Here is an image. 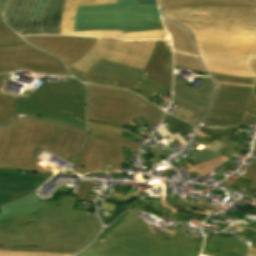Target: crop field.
Here are the masks:
<instances>
[{
    "instance_id": "733c2abd",
    "label": "crop field",
    "mask_w": 256,
    "mask_h": 256,
    "mask_svg": "<svg viewBox=\"0 0 256 256\" xmlns=\"http://www.w3.org/2000/svg\"><path fill=\"white\" fill-rule=\"evenodd\" d=\"M163 23L173 42L174 65L205 72L198 62L189 32L170 22L163 20Z\"/></svg>"
},
{
    "instance_id": "c21b1889",
    "label": "crop field",
    "mask_w": 256,
    "mask_h": 256,
    "mask_svg": "<svg viewBox=\"0 0 256 256\" xmlns=\"http://www.w3.org/2000/svg\"><path fill=\"white\" fill-rule=\"evenodd\" d=\"M48 0H39L31 18L39 19Z\"/></svg>"
},
{
    "instance_id": "22f410ed",
    "label": "crop field",
    "mask_w": 256,
    "mask_h": 256,
    "mask_svg": "<svg viewBox=\"0 0 256 256\" xmlns=\"http://www.w3.org/2000/svg\"><path fill=\"white\" fill-rule=\"evenodd\" d=\"M67 68L75 77L84 82L86 81L88 72H91L140 83L135 92L149 100L162 91L171 95L170 88L155 81L144 78L145 75L143 72H141L142 69L122 65L119 63L101 59L87 72L76 70L71 65Z\"/></svg>"
},
{
    "instance_id": "c035e120",
    "label": "crop field",
    "mask_w": 256,
    "mask_h": 256,
    "mask_svg": "<svg viewBox=\"0 0 256 256\" xmlns=\"http://www.w3.org/2000/svg\"><path fill=\"white\" fill-rule=\"evenodd\" d=\"M172 115L187 121L193 115V113L179 107Z\"/></svg>"
},
{
    "instance_id": "d3111659",
    "label": "crop field",
    "mask_w": 256,
    "mask_h": 256,
    "mask_svg": "<svg viewBox=\"0 0 256 256\" xmlns=\"http://www.w3.org/2000/svg\"><path fill=\"white\" fill-rule=\"evenodd\" d=\"M12 127L13 123L10 125L0 126V163L10 141Z\"/></svg>"
},
{
    "instance_id": "5d738f31",
    "label": "crop field",
    "mask_w": 256,
    "mask_h": 256,
    "mask_svg": "<svg viewBox=\"0 0 256 256\" xmlns=\"http://www.w3.org/2000/svg\"><path fill=\"white\" fill-rule=\"evenodd\" d=\"M127 213H128V212L122 214V215L120 216V218H119L117 221H115L113 224H111L110 227L107 228V229L98 237V239H101V238H102L103 236H105L111 229H113L116 225H118V223L121 222V219H123L124 216H125Z\"/></svg>"
},
{
    "instance_id": "ac0d7876",
    "label": "crop field",
    "mask_w": 256,
    "mask_h": 256,
    "mask_svg": "<svg viewBox=\"0 0 256 256\" xmlns=\"http://www.w3.org/2000/svg\"><path fill=\"white\" fill-rule=\"evenodd\" d=\"M76 196L60 195L37 213L0 224V245L83 248L99 231L96 217L74 209ZM47 235V237H45Z\"/></svg>"
},
{
    "instance_id": "d1516ede",
    "label": "crop field",
    "mask_w": 256,
    "mask_h": 256,
    "mask_svg": "<svg viewBox=\"0 0 256 256\" xmlns=\"http://www.w3.org/2000/svg\"><path fill=\"white\" fill-rule=\"evenodd\" d=\"M155 42H123L120 39L97 38L93 47L71 65L76 69L87 71L103 58L143 69Z\"/></svg>"
},
{
    "instance_id": "1d83c4d3",
    "label": "crop field",
    "mask_w": 256,
    "mask_h": 256,
    "mask_svg": "<svg viewBox=\"0 0 256 256\" xmlns=\"http://www.w3.org/2000/svg\"><path fill=\"white\" fill-rule=\"evenodd\" d=\"M0 249H16V250H39V251H67V252H77L80 249L73 248H54V247H3Z\"/></svg>"
},
{
    "instance_id": "bc2a9ffb",
    "label": "crop field",
    "mask_w": 256,
    "mask_h": 256,
    "mask_svg": "<svg viewBox=\"0 0 256 256\" xmlns=\"http://www.w3.org/2000/svg\"><path fill=\"white\" fill-rule=\"evenodd\" d=\"M196 79L201 80L197 88L186 87L190 84L186 81L175 79L174 91L207 108L213 88L212 81L207 77H198Z\"/></svg>"
},
{
    "instance_id": "0765c3eb",
    "label": "crop field",
    "mask_w": 256,
    "mask_h": 256,
    "mask_svg": "<svg viewBox=\"0 0 256 256\" xmlns=\"http://www.w3.org/2000/svg\"><path fill=\"white\" fill-rule=\"evenodd\" d=\"M254 94L256 96V81H255V86H254Z\"/></svg>"
},
{
    "instance_id": "9d1cf04e",
    "label": "crop field",
    "mask_w": 256,
    "mask_h": 256,
    "mask_svg": "<svg viewBox=\"0 0 256 256\" xmlns=\"http://www.w3.org/2000/svg\"><path fill=\"white\" fill-rule=\"evenodd\" d=\"M113 196H116V197L122 198V199L124 198V195H121V194H118V193H114Z\"/></svg>"
},
{
    "instance_id": "e52e79f7",
    "label": "crop field",
    "mask_w": 256,
    "mask_h": 256,
    "mask_svg": "<svg viewBox=\"0 0 256 256\" xmlns=\"http://www.w3.org/2000/svg\"><path fill=\"white\" fill-rule=\"evenodd\" d=\"M88 88V120L124 126L140 115L158 125L160 109L127 90L86 84Z\"/></svg>"
},
{
    "instance_id": "0fb4a251",
    "label": "crop field",
    "mask_w": 256,
    "mask_h": 256,
    "mask_svg": "<svg viewBox=\"0 0 256 256\" xmlns=\"http://www.w3.org/2000/svg\"><path fill=\"white\" fill-rule=\"evenodd\" d=\"M117 187H118V188H121L120 190L117 191L118 193H121V194H124V195L127 194V190H126L127 187H125V186H119V185H117Z\"/></svg>"
},
{
    "instance_id": "dbb93151",
    "label": "crop field",
    "mask_w": 256,
    "mask_h": 256,
    "mask_svg": "<svg viewBox=\"0 0 256 256\" xmlns=\"http://www.w3.org/2000/svg\"><path fill=\"white\" fill-rule=\"evenodd\" d=\"M139 4H156L155 0H139Z\"/></svg>"
},
{
    "instance_id": "8a807250",
    "label": "crop field",
    "mask_w": 256,
    "mask_h": 256,
    "mask_svg": "<svg viewBox=\"0 0 256 256\" xmlns=\"http://www.w3.org/2000/svg\"><path fill=\"white\" fill-rule=\"evenodd\" d=\"M163 16L189 28L208 72L256 77V8L163 9Z\"/></svg>"
},
{
    "instance_id": "028f5c9d",
    "label": "crop field",
    "mask_w": 256,
    "mask_h": 256,
    "mask_svg": "<svg viewBox=\"0 0 256 256\" xmlns=\"http://www.w3.org/2000/svg\"><path fill=\"white\" fill-rule=\"evenodd\" d=\"M231 137H232V136L223 135V136L219 139V141H221V142H223V143H225V144L231 146L232 148H234V149H236V150L249 153V147H250L249 145H245V144H241V143H237V142H232V141H230ZM219 141H218V142H219ZM221 142H220V143H221ZM223 143H222V144H223ZM225 144H224V145H225ZM227 145H226V146H227ZM229 146H228V147H229Z\"/></svg>"
},
{
    "instance_id": "0bd39190",
    "label": "crop field",
    "mask_w": 256,
    "mask_h": 256,
    "mask_svg": "<svg viewBox=\"0 0 256 256\" xmlns=\"http://www.w3.org/2000/svg\"><path fill=\"white\" fill-rule=\"evenodd\" d=\"M241 177L250 179L252 180L251 183L256 184V159H254L252 165L246 170V172Z\"/></svg>"
},
{
    "instance_id": "d9b57169",
    "label": "crop field",
    "mask_w": 256,
    "mask_h": 256,
    "mask_svg": "<svg viewBox=\"0 0 256 256\" xmlns=\"http://www.w3.org/2000/svg\"><path fill=\"white\" fill-rule=\"evenodd\" d=\"M0 169V206L33 193L50 176Z\"/></svg>"
},
{
    "instance_id": "120bbe31",
    "label": "crop field",
    "mask_w": 256,
    "mask_h": 256,
    "mask_svg": "<svg viewBox=\"0 0 256 256\" xmlns=\"http://www.w3.org/2000/svg\"><path fill=\"white\" fill-rule=\"evenodd\" d=\"M183 152L193 156L194 158L200 160V161H205V160H208V159H212V158H216V157H219L220 155L204 148L202 150H200L199 152H197L196 154L191 152L190 150L188 149H185Z\"/></svg>"
},
{
    "instance_id": "5866460e",
    "label": "crop field",
    "mask_w": 256,
    "mask_h": 256,
    "mask_svg": "<svg viewBox=\"0 0 256 256\" xmlns=\"http://www.w3.org/2000/svg\"><path fill=\"white\" fill-rule=\"evenodd\" d=\"M159 132V134L162 136V138L164 140H166L168 143L178 139L181 144L184 146L187 142H185L181 137L180 135L177 133V134H174L172 135L162 124L161 126L158 128L157 130Z\"/></svg>"
},
{
    "instance_id": "750c4746",
    "label": "crop field",
    "mask_w": 256,
    "mask_h": 256,
    "mask_svg": "<svg viewBox=\"0 0 256 256\" xmlns=\"http://www.w3.org/2000/svg\"><path fill=\"white\" fill-rule=\"evenodd\" d=\"M73 254L28 252V251H0V256H71Z\"/></svg>"
},
{
    "instance_id": "bd1437ed",
    "label": "crop field",
    "mask_w": 256,
    "mask_h": 256,
    "mask_svg": "<svg viewBox=\"0 0 256 256\" xmlns=\"http://www.w3.org/2000/svg\"><path fill=\"white\" fill-rule=\"evenodd\" d=\"M164 121H166L169 125H171L173 128L169 129V131L174 134L183 130H187V129H192L193 127H191L189 124L178 120L168 114L165 115Z\"/></svg>"
},
{
    "instance_id": "db79e9e6",
    "label": "crop field",
    "mask_w": 256,
    "mask_h": 256,
    "mask_svg": "<svg viewBox=\"0 0 256 256\" xmlns=\"http://www.w3.org/2000/svg\"><path fill=\"white\" fill-rule=\"evenodd\" d=\"M2 0H0V3H1Z\"/></svg>"
},
{
    "instance_id": "3316defc",
    "label": "crop field",
    "mask_w": 256,
    "mask_h": 256,
    "mask_svg": "<svg viewBox=\"0 0 256 256\" xmlns=\"http://www.w3.org/2000/svg\"><path fill=\"white\" fill-rule=\"evenodd\" d=\"M21 39L0 18V73L26 69L70 76L59 59L34 49Z\"/></svg>"
},
{
    "instance_id": "730fd06b",
    "label": "crop field",
    "mask_w": 256,
    "mask_h": 256,
    "mask_svg": "<svg viewBox=\"0 0 256 256\" xmlns=\"http://www.w3.org/2000/svg\"><path fill=\"white\" fill-rule=\"evenodd\" d=\"M86 82L127 88V89H132V90H134L138 85L137 83L123 81V80L114 79V78H109V77L100 76V75H95V74H91V73L88 74V78H87Z\"/></svg>"
},
{
    "instance_id": "ae1a2a85",
    "label": "crop field",
    "mask_w": 256,
    "mask_h": 256,
    "mask_svg": "<svg viewBox=\"0 0 256 256\" xmlns=\"http://www.w3.org/2000/svg\"><path fill=\"white\" fill-rule=\"evenodd\" d=\"M152 204L156 205L163 211L167 212L168 214L174 216L180 221L188 223L190 220L185 219L184 217L178 215L180 211H184L186 207L179 206L176 203L172 201V199H164V200H158V201H151Z\"/></svg>"
},
{
    "instance_id": "d23c7cc5",
    "label": "crop field",
    "mask_w": 256,
    "mask_h": 256,
    "mask_svg": "<svg viewBox=\"0 0 256 256\" xmlns=\"http://www.w3.org/2000/svg\"><path fill=\"white\" fill-rule=\"evenodd\" d=\"M102 206H103V210H106L108 212H114L116 210V208L118 207V205H114V204H111V203H108V202H104L102 203Z\"/></svg>"
},
{
    "instance_id": "1f2cbd36",
    "label": "crop field",
    "mask_w": 256,
    "mask_h": 256,
    "mask_svg": "<svg viewBox=\"0 0 256 256\" xmlns=\"http://www.w3.org/2000/svg\"><path fill=\"white\" fill-rule=\"evenodd\" d=\"M138 195V192L134 191L133 194L128 193L127 196L125 197V199L123 200L124 203L129 202L130 200H132L133 198H135Z\"/></svg>"
},
{
    "instance_id": "25e5ab78",
    "label": "crop field",
    "mask_w": 256,
    "mask_h": 256,
    "mask_svg": "<svg viewBox=\"0 0 256 256\" xmlns=\"http://www.w3.org/2000/svg\"><path fill=\"white\" fill-rule=\"evenodd\" d=\"M10 74H0V87H3L6 85V83L9 81Z\"/></svg>"
},
{
    "instance_id": "cbeb9de0",
    "label": "crop field",
    "mask_w": 256,
    "mask_h": 256,
    "mask_svg": "<svg viewBox=\"0 0 256 256\" xmlns=\"http://www.w3.org/2000/svg\"><path fill=\"white\" fill-rule=\"evenodd\" d=\"M117 3V0H67L63 13L61 34L83 35V36H105L121 37L124 40H146L162 39L161 33H167L165 30L139 31L123 33V31H91V32H73L75 16L78 6L100 5Z\"/></svg>"
},
{
    "instance_id": "5142ce71",
    "label": "crop field",
    "mask_w": 256,
    "mask_h": 256,
    "mask_svg": "<svg viewBox=\"0 0 256 256\" xmlns=\"http://www.w3.org/2000/svg\"><path fill=\"white\" fill-rule=\"evenodd\" d=\"M33 46L58 56L67 67L93 45L96 38L73 36H26Z\"/></svg>"
},
{
    "instance_id": "28ad6ade",
    "label": "crop field",
    "mask_w": 256,
    "mask_h": 256,
    "mask_svg": "<svg viewBox=\"0 0 256 256\" xmlns=\"http://www.w3.org/2000/svg\"><path fill=\"white\" fill-rule=\"evenodd\" d=\"M37 1L3 0L0 13L20 35L60 34L61 12L66 0H49L41 19H30Z\"/></svg>"
},
{
    "instance_id": "dafd665d",
    "label": "crop field",
    "mask_w": 256,
    "mask_h": 256,
    "mask_svg": "<svg viewBox=\"0 0 256 256\" xmlns=\"http://www.w3.org/2000/svg\"><path fill=\"white\" fill-rule=\"evenodd\" d=\"M45 206L34 194L0 207V221L24 214L35 213L36 208Z\"/></svg>"
},
{
    "instance_id": "412701ff",
    "label": "crop field",
    "mask_w": 256,
    "mask_h": 256,
    "mask_svg": "<svg viewBox=\"0 0 256 256\" xmlns=\"http://www.w3.org/2000/svg\"><path fill=\"white\" fill-rule=\"evenodd\" d=\"M139 214L130 211L101 241L94 240L78 256L199 255L203 239L185 237L188 228L179 226L169 237L136 219Z\"/></svg>"
},
{
    "instance_id": "b80d0937",
    "label": "crop field",
    "mask_w": 256,
    "mask_h": 256,
    "mask_svg": "<svg viewBox=\"0 0 256 256\" xmlns=\"http://www.w3.org/2000/svg\"><path fill=\"white\" fill-rule=\"evenodd\" d=\"M196 134V133H195ZM198 136L204 138L205 140H207L208 142H212L214 141L215 139H219L222 134H218V133H211V132H206V131H203L201 129L198 130L197 134ZM216 140V141H217Z\"/></svg>"
},
{
    "instance_id": "d32e631a",
    "label": "crop field",
    "mask_w": 256,
    "mask_h": 256,
    "mask_svg": "<svg viewBox=\"0 0 256 256\" xmlns=\"http://www.w3.org/2000/svg\"><path fill=\"white\" fill-rule=\"evenodd\" d=\"M231 228H235V230L240 233V238L245 240L246 238L253 240L256 236V229H253L252 227H244V226H238L234 225L233 227H229L226 230H229ZM225 230V231H226Z\"/></svg>"
},
{
    "instance_id": "d8731c3e",
    "label": "crop field",
    "mask_w": 256,
    "mask_h": 256,
    "mask_svg": "<svg viewBox=\"0 0 256 256\" xmlns=\"http://www.w3.org/2000/svg\"><path fill=\"white\" fill-rule=\"evenodd\" d=\"M88 125L89 137L73 167L78 174L102 172L101 165L107 164H112V171H122L121 163H125L121 148L123 145L131 153H138L141 145L120 136L124 130L135 136L137 134L118 126L97 122L88 121Z\"/></svg>"
},
{
    "instance_id": "b54c1fbb",
    "label": "crop field",
    "mask_w": 256,
    "mask_h": 256,
    "mask_svg": "<svg viewBox=\"0 0 256 256\" xmlns=\"http://www.w3.org/2000/svg\"><path fill=\"white\" fill-rule=\"evenodd\" d=\"M150 152H151L153 159L156 160L157 162L164 160L163 154H162L159 146L150 148Z\"/></svg>"
},
{
    "instance_id": "f4fd0767",
    "label": "crop field",
    "mask_w": 256,
    "mask_h": 256,
    "mask_svg": "<svg viewBox=\"0 0 256 256\" xmlns=\"http://www.w3.org/2000/svg\"><path fill=\"white\" fill-rule=\"evenodd\" d=\"M85 99L82 84L45 82L38 91L17 96L14 113L59 120L86 129Z\"/></svg>"
},
{
    "instance_id": "425ffa30",
    "label": "crop field",
    "mask_w": 256,
    "mask_h": 256,
    "mask_svg": "<svg viewBox=\"0 0 256 256\" xmlns=\"http://www.w3.org/2000/svg\"><path fill=\"white\" fill-rule=\"evenodd\" d=\"M251 191H254V194ZM244 195L256 198V185L250 184Z\"/></svg>"
},
{
    "instance_id": "03da06ac",
    "label": "crop field",
    "mask_w": 256,
    "mask_h": 256,
    "mask_svg": "<svg viewBox=\"0 0 256 256\" xmlns=\"http://www.w3.org/2000/svg\"><path fill=\"white\" fill-rule=\"evenodd\" d=\"M126 211V204H121L117 210L112 214V216L104 223V225H108L113 222V220L119 216L122 212Z\"/></svg>"
},
{
    "instance_id": "1d79db26",
    "label": "crop field",
    "mask_w": 256,
    "mask_h": 256,
    "mask_svg": "<svg viewBox=\"0 0 256 256\" xmlns=\"http://www.w3.org/2000/svg\"><path fill=\"white\" fill-rule=\"evenodd\" d=\"M248 256H256V248H251Z\"/></svg>"
},
{
    "instance_id": "92a150f3",
    "label": "crop field",
    "mask_w": 256,
    "mask_h": 256,
    "mask_svg": "<svg viewBox=\"0 0 256 256\" xmlns=\"http://www.w3.org/2000/svg\"><path fill=\"white\" fill-rule=\"evenodd\" d=\"M163 8L196 7V6H237L256 7L254 0H159Z\"/></svg>"
},
{
    "instance_id": "214f88e0",
    "label": "crop field",
    "mask_w": 256,
    "mask_h": 256,
    "mask_svg": "<svg viewBox=\"0 0 256 256\" xmlns=\"http://www.w3.org/2000/svg\"><path fill=\"white\" fill-rule=\"evenodd\" d=\"M223 242V244H221ZM248 247L232 237H219L215 242L206 243L202 254L213 256H245Z\"/></svg>"
},
{
    "instance_id": "e1f06a70",
    "label": "crop field",
    "mask_w": 256,
    "mask_h": 256,
    "mask_svg": "<svg viewBox=\"0 0 256 256\" xmlns=\"http://www.w3.org/2000/svg\"><path fill=\"white\" fill-rule=\"evenodd\" d=\"M93 183L90 182H81V186L79 189V193L77 195V201L78 200H85Z\"/></svg>"
},
{
    "instance_id": "5a996713",
    "label": "crop field",
    "mask_w": 256,
    "mask_h": 256,
    "mask_svg": "<svg viewBox=\"0 0 256 256\" xmlns=\"http://www.w3.org/2000/svg\"><path fill=\"white\" fill-rule=\"evenodd\" d=\"M215 93L205 123L225 126L242 121L245 111L256 116L255 79L212 74Z\"/></svg>"
},
{
    "instance_id": "34b2d1b8",
    "label": "crop field",
    "mask_w": 256,
    "mask_h": 256,
    "mask_svg": "<svg viewBox=\"0 0 256 256\" xmlns=\"http://www.w3.org/2000/svg\"><path fill=\"white\" fill-rule=\"evenodd\" d=\"M86 132L43 119L21 117L14 122L10 144L0 168L53 175L60 169L31 154L35 146L74 162Z\"/></svg>"
},
{
    "instance_id": "4a817a6b",
    "label": "crop field",
    "mask_w": 256,
    "mask_h": 256,
    "mask_svg": "<svg viewBox=\"0 0 256 256\" xmlns=\"http://www.w3.org/2000/svg\"><path fill=\"white\" fill-rule=\"evenodd\" d=\"M167 41H157L152 55L143 70L148 73L146 78L156 80L171 88L172 83V52Z\"/></svg>"
},
{
    "instance_id": "a9b5d70f",
    "label": "crop field",
    "mask_w": 256,
    "mask_h": 256,
    "mask_svg": "<svg viewBox=\"0 0 256 256\" xmlns=\"http://www.w3.org/2000/svg\"><path fill=\"white\" fill-rule=\"evenodd\" d=\"M232 160L221 156L219 158L216 159H212L209 161H206L204 163H200V164H196L191 166L190 164H186L190 169L186 170L189 173L195 171L200 177H204L205 175H207L210 171H212L213 169L219 167V168H223L225 165H227L229 162H231Z\"/></svg>"
},
{
    "instance_id": "89e229c0",
    "label": "crop field",
    "mask_w": 256,
    "mask_h": 256,
    "mask_svg": "<svg viewBox=\"0 0 256 256\" xmlns=\"http://www.w3.org/2000/svg\"><path fill=\"white\" fill-rule=\"evenodd\" d=\"M59 83H62V82H59ZM69 83H79V82H77V81H76L75 79H73V78H70ZM43 84H44V82H43L37 89H39ZM37 89H35V90H37ZM27 90H28L30 93L33 92V91L29 90V89H27ZM27 90H25V91H27ZM35 90H34V91H35ZM25 91H23L21 95H24V92H25ZM3 92H4V93L11 94V93H9V91H7V90H3ZM10 92H11V91H10ZM12 95H15V94H12Z\"/></svg>"
},
{
    "instance_id": "447ae74e",
    "label": "crop field",
    "mask_w": 256,
    "mask_h": 256,
    "mask_svg": "<svg viewBox=\"0 0 256 256\" xmlns=\"http://www.w3.org/2000/svg\"><path fill=\"white\" fill-rule=\"evenodd\" d=\"M251 247H256V238L253 240Z\"/></svg>"
},
{
    "instance_id": "dd49c442",
    "label": "crop field",
    "mask_w": 256,
    "mask_h": 256,
    "mask_svg": "<svg viewBox=\"0 0 256 256\" xmlns=\"http://www.w3.org/2000/svg\"><path fill=\"white\" fill-rule=\"evenodd\" d=\"M164 29L156 5L118 0V4L79 7L74 31Z\"/></svg>"
},
{
    "instance_id": "73cf0c24",
    "label": "crop field",
    "mask_w": 256,
    "mask_h": 256,
    "mask_svg": "<svg viewBox=\"0 0 256 256\" xmlns=\"http://www.w3.org/2000/svg\"><path fill=\"white\" fill-rule=\"evenodd\" d=\"M242 122H246V123H255L256 124V117L248 114V113H245V116L243 118V121Z\"/></svg>"
},
{
    "instance_id": "00972430",
    "label": "crop field",
    "mask_w": 256,
    "mask_h": 256,
    "mask_svg": "<svg viewBox=\"0 0 256 256\" xmlns=\"http://www.w3.org/2000/svg\"><path fill=\"white\" fill-rule=\"evenodd\" d=\"M3 88H0V124L10 123L17 118L12 116L15 110L16 96L1 93Z\"/></svg>"
},
{
    "instance_id": "eef30255",
    "label": "crop field",
    "mask_w": 256,
    "mask_h": 256,
    "mask_svg": "<svg viewBox=\"0 0 256 256\" xmlns=\"http://www.w3.org/2000/svg\"><path fill=\"white\" fill-rule=\"evenodd\" d=\"M131 209L141 211V212L151 213L159 218L161 216L168 217V218L171 217V216L167 215L166 213L162 212L161 210H159L158 208L152 206L147 201H144L141 199L135 198L132 201H130L129 203H127V210H131ZM171 218H173V217H171Z\"/></svg>"
},
{
    "instance_id": "4177f3b9",
    "label": "crop field",
    "mask_w": 256,
    "mask_h": 256,
    "mask_svg": "<svg viewBox=\"0 0 256 256\" xmlns=\"http://www.w3.org/2000/svg\"><path fill=\"white\" fill-rule=\"evenodd\" d=\"M173 101L177 102L178 104H180L182 107L194 112L195 114L188 120V122H190L191 124H193L195 127H197L203 117V114L205 112V108L200 107L188 100H186L185 98H183L182 96H180L179 94H177L176 92H174V96H173Z\"/></svg>"
}]
</instances>
